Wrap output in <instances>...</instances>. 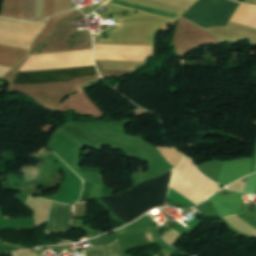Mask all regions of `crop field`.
Instances as JSON below:
<instances>
[{"label":"crop field","instance_id":"crop-field-1","mask_svg":"<svg viewBox=\"0 0 256 256\" xmlns=\"http://www.w3.org/2000/svg\"><path fill=\"white\" fill-rule=\"evenodd\" d=\"M171 171L142 182L124 193L99 198L118 219L128 223L146 211L163 206Z\"/></svg>","mask_w":256,"mask_h":256},{"label":"crop field","instance_id":"crop-field-2","mask_svg":"<svg viewBox=\"0 0 256 256\" xmlns=\"http://www.w3.org/2000/svg\"><path fill=\"white\" fill-rule=\"evenodd\" d=\"M237 6L229 0H198L182 17L206 29L226 26Z\"/></svg>","mask_w":256,"mask_h":256},{"label":"crop field","instance_id":"crop-field-3","mask_svg":"<svg viewBox=\"0 0 256 256\" xmlns=\"http://www.w3.org/2000/svg\"><path fill=\"white\" fill-rule=\"evenodd\" d=\"M99 76L95 67L18 73L13 84L70 81L73 78Z\"/></svg>","mask_w":256,"mask_h":256},{"label":"crop field","instance_id":"crop-field-4","mask_svg":"<svg viewBox=\"0 0 256 256\" xmlns=\"http://www.w3.org/2000/svg\"><path fill=\"white\" fill-rule=\"evenodd\" d=\"M220 191L225 193L231 192L229 189H222ZM225 193L218 192L208 199L216 209L219 216L241 212V193L235 191H232L229 194Z\"/></svg>","mask_w":256,"mask_h":256},{"label":"crop field","instance_id":"crop-field-5","mask_svg":"<svg viewBox=\"0 0 256 256\" xmlns=\"http://www.w3.org/2000/svg\"><path fill=\"white\" fill-rule=\"evenodd\" d=\"M251 159L228 160L223 162L218 183L229 184L246 175L250 170Z\"/></svg>","mask_w":256,"mask_h":256},{"label":"crop field","instance_id":"crop-field-6","mask_svg":"<svg viewBox=\"0 0 256 256\" xmlns=\"http://www.w3.org/2000/svg\"><path fill=\"white\" fill-rule=\"evenodd\" d=\"M70 208L71 207L52 204L46 230H67L69 224Z\"/></svg>","mask_w":256,"mask_h":256},{"label":"crop field","instance_id":"crop-field-7","mask_svg":"<svg viewBox=\"0 0 256 256\" xmlns=\"http://www.w3.org/2000/svg\"><path fill=\"white\" fill-rule=\"evenodd\" d=\"M84 253V251H83ZM86 256H122L118 242L85 250ZM84 253V256H85Z\"/></svg>","mask_w":256,"mask_h":256},{"label":"crop field","instance_id":"crop-field-8","mask_svg":"<svg viewBox=\"0 0 256 256\" xmlns=\"http://www.w3.org/2000/svg\"><path fill=\"white\" fill-rule=\"evenodd\" d=\"M246 184H247V188H246L245 192H249V193L256 192V173L248 176ZM245 187H246V185H245Z\"/></svg>","mask_w":256,"mask_h":256},{"label":"crop field","instance_id":"crop-field-9","mask_svg":"<svg viewBox=\"0 0 256 256\" xmlns=\"http://www.w3.org/2000/svg\"><path fill=\"white\" fill-rule=\"evenodd\" d=\"M92 185L93 184L85 183L82 198H81V201H79V202L86 201V200L89 199V195H90V192H91V189H92Z\"/></svg>","mask_w":256,"mask_h":256},{"label":"crop field","instance_id":"crop-field-10","mask_svg":"<svg viewBox=\"0 0 256 256\" xmlns=\"http://www.w3.org/2000/svg\"><path fill=\"white\" fill-rule=\"evenodd\" d=\"M255 169H256V165H255Z\"/></svg>","mask_w":256,"mask_h":256}]
</instances>
